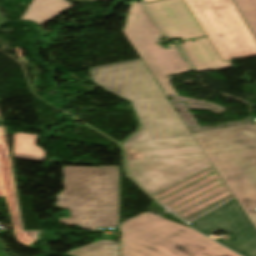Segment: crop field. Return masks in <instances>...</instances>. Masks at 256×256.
<instances>
[{"mask_svg": "<svg viewBox=\"0 0 256 256\" xmlns=\"http://www.w3.org/2000/svg\"><path fill=\"white\" fill-rule=\"evenodd\" d=\"M91 70L138 114L142 128L122 145L129 174L151 196L212 166L142 59Z\"/></svg>", "mask_w": 256, "mask_h": 256, "instance_id": "8a807250", "label": "crop field"}, {"mask_svg": "<svg viewBox=\"0 0 256 256\" xmlns=\"http://www.w3.org/2000/svg\"><path fill=\"white\" fill-rule=\"evenodd\" d=\"M64 200L58 207L71 209V218H60L66 225L98 231V227L117 226L118 168L63 167Z\"/></svg>", "mask_w": 256, "mask_h": 256, "instance_id": "ac0d7876", "label": "crop field"}, {"mask_svg": "<svg viewBox=\"0 0 256 256\" xmlns=\"http://www.w3.org/2000/svg\"><path fill=\"white\" fill-rule=\"evenodd\" d=\"M122 256H238L189 227L147 212L121 224Z\"/></svg>", "mask_w": 256, "mask_h": 256, "instance_id": "34b2d1b8", "label": "crop field"}, {"mask_svg": "<svg viewBox=\"0 0 256 256\" xmlns=\"http://www.w3.org/2000/svg\"><path fill=\"white\" fill-rule=\"evenodd\" d=\"M241 207L256 205V125L193 134Z\"/></svg>", "mask_w": 256, "mask_h": 256, "instance_id": "412701ff", "label": "crop field"}, {"mask_svg": "<svg viewBox=\"0 0 256 256\" xmlns=\"http://www.w3.org/2000/svg\"><path fill=\"white\" fill-rule=\"evenodd\" d=\"M223 61L256 56V40L232 0H184Z\"/></svg>", "mask_w": 256, "mask_h": 256, "instance_id": "f4fd0767", "label": "crop field"}, {"mask_svg": "<svg viewBox=\"0 0 256 256\" xmlns=\"http://www.w3.org/2000/svg\"><path fill=\"white\" fill-rule=\"evenodd\" d=\"M129 3L124 32L167 96L175 95L176 92L169 82L173 79L172 75L193 70L175 44L169 45L168 49L157 44L156 40L162 34L143 5L136 1Z\"/></svg>", "mask_w": 256, "mask_h": 256, "instance_id": "dd49c442", "label": "crop field"}, {"mask_svg": "<svg viewBox=\"0 0 256 256\" xmlns=\"http://www.w3.org/2000/svg\"><path fill=\"white\" fill-rule=\"evenodd\" d=\"M153 198L188 223L233 195L213 166Z\"/></svg>", "mask_w": 256, "mask_h": 256, "instance_id": "e52e79f7", "label": "crop field"}, {"mask_svg": "<svg viewBox=\"0 0 256 256\" xmlns=\"http://www.w3.org/2000/svg\"><path fill=\"white\" fill-rule=\"evenodd\" d=\"M206 235L229 234L218 240L244 256H256V229L234 199L188 223Z\"/></svg>", "mask_w": 256, "mask_h": 256, "instance_id": "d8731c3e", "label": "crop field"}, {"mask_svg": "<svg viewBox=\"0 0 256 256\" xmlns=\"http://www.w3.org/2000/svg\"><path fill=\"white\" fill-rule=\"evenodd\" d=\"M144 5L164 35L183 40L206 36L183 0H163Z\"/></svg>", "mask_w": 256, "mask_h": 256, "instance_id": "5a996713", "label": "crop field"}, {"mask_svg": "<svg viewBox=\"0 0 256 256\" xmlns=\"http://www.w3.org/2000/svg\"><path fill=\"white\" fill-rule=\"evenodd\" d=\"M0 197H7L11 209L17 239L33 247L43 231H23L6 143L0 128ZM34 248V247H33Z\"/></svg>", "mask_w": 256, "mask_h": 256, "instance_id": "3316defc", "label": "crop field"}, {"mask_svg": "<svg viewBox=\"0 0 256 256\" xmlns=\"http://www.w3.org/2000/svg\"><path fill=\"white\" fill-rule=\"evenodd\" d=\"M180 46L196 71L232 67L231 61H222L208 37L195 39V41L187 40Z\"/></svg>", "mask_w": 256, "mask_h": 256, "instance_id": "28ad6ade", "label": "crop field"}, {"mask_svg": "<svg viewBox=\"0 0 256 256\" xmlns=\"http://www.w3.org/2000/svg\"><path fill=\"white\" fill-rule=\"evenodd\" d=\"M73 6L65 0H33L22 19L42 26Z\"/></svg>", "mask_w": 256, "mask_h": 256, "instance_id": "d1516ede", "label": "crop field"}, {"mask_svg": "<svg viewBox=\"0 0 256 256\" xmlns=\"http://www.w3.org/2000/svg\"><path fill=\"white\" fill-rule=\"evenodd\" d=\"M39 137L30 134H15L14 158L43 161L45 150L36 146Z\"/></svg>", "mask_w": 256, "mask_h": 256, "instance_id": "22f410ed", "label": "crop field"}, {"mask_svg": "<svg viewBox=\"0 0 256 256\" xmlns=\"http://www.w3.org/2000/svg\"><path fill=\"white\" fill-rule=\"evenodd\" d=\"M119 248L120 243L117 241L102 240L66 253L73 256H119Z\"/></svg>", "mask_w": 256, "mask_h": 256, "instance_id": "cbeb9de0", "label": "crop field"}, {"mask_svg": "<svg viewBox=\"0 0 256 256\" xmlns=\"http://www.w3.org/2000/svg\"><path fill=\"white\" fill-rule=\"evenodd\" d=\"M235 2L256 36V0H235Z\"/></svg>", "mask_w": 256, "mask_h": 256, "instance_id": "5142ce71", "label": "crop field"}, {"mask_svg": "<svg viewBox=\"0 0 256 256\" xmlns=\"http://www.w3.org/2000/svg\"><path fill=\"white\" fill-rule=\"evenodd\" d=\"M249 219L252 221L254 226L256 227V206L255 207H246L243 208Z\"/></svg>", "mask_w": 256, "mask_h": 256, "instance_id": "d9b57169", "label": "crop field"}, {"mask_svg": "<svg viewBox=\"0 0 256 256\" xmlns=\"http://www.w3.org/2000/svg\"><path fill=\"white\" fill-rule=\"evenodd\" d=\"M152 1H157V0H145L144 3H146V2H152Z\"/></svg>", "mask_w": 256, "mask_h": 256, "instance_id": "733c2abd", "label": "crop field"}, {"mask_svg": "<svg viewBox=\"0 0 256 256\" xmlns=\"http://www.w3.org/2000/svg\"><path fill=\"white\" fill-rule=\"evenodd\" d=\"M3 23L5 22L0 18V25H2Z\"/></svg>", "mask_w": 256, "mask_h": 256, "instance_id": "4a817a6b", "label": "crop field"}]
</instances>
